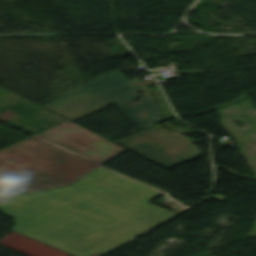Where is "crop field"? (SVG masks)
Returning <instances> with one entry per match:
<instances>
[{
    "label": "crop field",
    "instance_id": "1",
    "mask_svg": "<svg viewBox=\"0 0 256 256\" xmlns=\"http://www.w3.org/2000/svg\"><path fill=\"white\" fill-rule=\"evenodd\" d=\"M156 191L97 168L76 182L49 190L0 199L11 230L75 256L91 253L102 231L150 207Z\"/></svg>",
    "mask_w": 256,
    "mask_h": 256
},
{
    "label": "crop field",
    "instance_id": "2",
    "mask_svg": "<svg viewBox=\"0 0 256 256\" xmlns=\"http://www.w3.org/2000/svg\"><path fill=\"white\" fill-rule=\"evenodd\" d=\"M154 82V79L142 82L130 81L115 70L84 82L41 107L73 121L85 114L115 104L141 130L161 120L150 90L144 86ZM139 92L143 93L137 95ZM142 95L144 96L139 102L132 103ZM147 119H150L149 123Z\"/></svg>",
    "mask_w": 256,
    "mask_h": 256
},
{
    "label": "crop field",
    "instance_id": "3",
    "mask_svg": "<svg viewBox=\"0 0 256 256\" xmlns=\"http://www.w3.org/2000/svg\"><path fill=\"white\" fill-rule=\"evenodd\" d=\"M97 167L33 138L0 150V182L27 193L70 184Z\"/></svg>",
    "mask_w": 256,
    "mask_h": 256
},
{
    "label": "crop field",
    "instance_id": "4",
    "mask_svg": "<svg viewBox=\"0 0 256 256\" xmlns=\"http://www.w3.org/2000/svg\"><path fill=\"white\" fill-rule=\"evenodd\" d=\"M116 143L165 168L202 153L189 141L156 126Z\"/></svg>",
    "mask_w": 256,
    "mask_h": 256
},
{
    "label": "crop field",
    "instance_id": "5",
    "mask_svg": "<svg viewBox=\"0 0 256 256\" xmlns=\"http://www.w3.org/2000/svg\"><path fill=\"white\" fill-rule=\"evenodd\" d=\"M35 136L96 160L98 164L104 163L125 151L69 121Z\"/></svg>",
    "mask_w": 256,
    "mask_h": 256
},
{
    "label": "crop field",
    "instance_id": "6",
    "mask_svg": "<svg viewBox=\"0 0 256 256\" xmlns=\"http://www.w3.org/2000/svg\"><path fill=\"white\" fill-rule=\"evenodd\" d=\"M144 203L151 208L97 236L92 253L89 256H96L176 214L146 201Z\"/></svg>",
    "mask_w": 256,
    "mask_h": 256
}]
</instances>
